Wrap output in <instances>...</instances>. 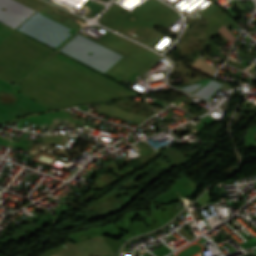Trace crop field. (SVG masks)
Listing matches in <instances>:
<instances>
[{"mask_svg": "<svg viewBox=\"0 0 256 256\" xmlns=\"http://www.w3.org/2000/svg\"><path fill=\"white\" fill-rule=\"evenodd\" d=\"M192 67L198 69V70H201L207 74H210L212 75L216 70V68H214L213 66H211L210 64L204 62L203 60L201 59H197L194 64L192 65Z\"/></svg>", "mask_w": 256, "mask_h": 256, "instance_id": "obj_1", "label": "crop field"}, {"mask_svg": "<svg viewBox=\"0 0 256 256\" xmlns=\"http://www.w3.org/2000/svg\"><path fill=\"white\" fill-rule=\"evenodd\" d=\"M231 43L235 40V36H233L224 26H222L219 30Z\"/></svg>", "mask_w": 256, "mask_h": 256, "instance_id": "obj_2", "label": "crop field"}]
</instances>
